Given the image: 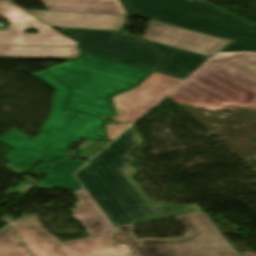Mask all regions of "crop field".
<instances>
[{
	"instance_id": "crop-field-20",
	"label": "crop field",
	"mask_w": 256,
	"mask_h": 256,
	"mask_svg": "<svg viewBox=\"0 0 256 256\" xmlns=\"http://www.w3.org/2000/svg\"><path fill=\"white\" fill-rule=\"evenodd\" d=\"M51 26L59 27L47 11H28Z\"/></svg>"
},
{
	"instance_id": "crop-field-12",
	"label": "crop field",
	"mask_w": 256,
	"mask_h": 256,
	"mask_svg": "<svg viewBox=\"0 0 256 256\" xmlns=\"http://www.w3.org/2000/svg\"><path fill=\"white\" fill-rule=\"evenodd\" d=\"M115 39L147 42L167 60L156 70V72L180 77L183 79H185L189 74H191L195 69L203 64L207 59H209V57L201 56L122 33L117 35Z\"/></svg>"
},
{
	"instance_id": "crop-field-2",
	"label": "crop field",
	"mask_w": 256,
	"mask_h": 256,
	"mask_svg": "<svg viewBox=\"0 0 256 256\" xmlns=\"http://www.w3.org/2000/svg\"><path fill=\"white\" fill-rule=\"evenodd\" d=\"M169 98L207 109L225 105L255 107L256 25L233 40Z\"/></svg>"
},
{
	"instance_id": "crop-field-6",
	"label": "crop field",
	"mask_w": 256,
	"mask_h": 256,
	"mask_svg": "<svg viewBox=\"0 0 256 256\" xmlns=\"http://www.w3.org/2000/svg\"><path fill=\"white\" fill-rule=\"evenodd\" d=\"M130 15L232 41L252 24L192 0H122Z\"/></svg>"
},
{
	"instance_id": "crop-field-18",
	"label": "crop field",
	"mask_w": 256,
	"mask_h": 256,
	"mask_svg": "<svg viewBox=\"0 0 256 256\" xmlns=\"http://www.w3.org/2000/svg\"><path fill=\"white\" fill-rule=\"evenodd\" d=\"M182 81L183 79L154 72L143 83L171 91Z\"/></svg>"
},
{
	"instance_id": "crop-field-17",
	"label": "crop field",
	"mask_w": 256,
	"mask_h": 256,
	"mask_svg": "<svg viewBox=\"0 0 256 256\" xmlns=\"http://www.w3.org/2000/svg\"><path fill=\"white\" fill-rule=\"evenodd\" d=\"M0 256H32L12 225L0 232Z\"/></svg>"
},
{
	"instance_id": "crop-field-3",
	"label": "crop field",
	"mask_w": 256,
	"mask_h": 256,
	"mask_svg": "<svg viewBox=\"0 0 256 256\" xmlns=\"http://www.w3.org/2000/svg\"><path fill=\"white\" fill-rule=\"evenodd\" d=\"M34 75L55 89L51 115L35 139L15 129L0 139L15 150L5 158L12 172L22 171L37 159L50 162L62 157L81 137L104 140L102 118L66 108L70 87L46 71Z\"/></svg>"
},
{
	"instance_id": "crop-field-21",
	"label": "crop field",
	"mask_w": 256,
	"mask_h": 256,
	"mask_svg": "<svg viewBox=\"0 0 256 256\" xmlns=\"http://www.w3.org/2000/svg\"><path fill=\"white\" fill-rule=\"evenodd\" d=\"M127 125L120 124L118 126L109 125L107 126V132H108V140H112L115 138L119 133H121L125 128H127Z\"/></svg>"
},
{
	"instance_id": "crop-field-15",
	"label": "crop field",
	"mask_w": 256,
	"mask_h": 256,
	"mask_svg": "<svg viewBox=\"0 0 256 256\" xmlns=\"http://www.w3.org/2000/svg\"><path fill=\"white\" fill-rule=\"evenodd\" d=\"M82 164L84 162L63 160L52 167L38 166L35 169L47 176L35 188L52 189L58 187L66 190H77L81 188V185L72 176V173Z\"/></svg>"
},
{
	"instance_id": "crop-field-1",
	"label": "crop field",
	"mask_w": 256,
	"mask_h": 256,
	"mask_svg": "<svg viewBox=\"0 0 256 256\" xmlns=\"http://www.w3.org/2000/svg\"><path fill=\"white\" fill-rule=\"evenodd\" d=\"M143 143L129 128L75 175L114 226L201 211L197 205L173 206L149 199L133 178L138 173L126 163L130 152Z\"/></svg>"
},
{
	"instance_id": "crop-field-5",
	"label": "crop field",
	"mask_w": 256,
	"mask_h": 256,
	"mask_svg": "<svg viewBox=\"0 0 256 256\" xmlns=\"http://www.w3.org/2000/svg\"><path fill=\"white\" fill-rule=\"evenodd\" d=\"M79 202L72 215L84 226L90 237L60 242L46 231L36 214L17 223L19 230L35 256H133L127 244H120L112 236L116 229L92 199L86 189L75 193Z\"/></svg>"
},
{
	"instance_id": "crop-field-16",
	"label": "crop field",
	"mask_w": 256,
	"mask_h": 256,
	"mask_svg": "<svg viewBox=\"0 0 256 256\" xmlns=\"http://www.w3.org/2000/svg\"><path fill=\"white\" fill-rule=\"evenodd\" d=\"M48 10L126 15L119 0H42Z\"/></svg>"
},
{
	"instance_id": "crop-field-11",
	"label": "crop field",
	"mask_w": 256,
	"mask_h": 256,
	"mask_svg": "<svg viewBox=\"0 0 256 256\" xmlns=\"http://www.w3.org/2000/svg\"><path fill=\"white\" fill-rule=\"evenodd\" d=\"M169 91L141 83L137 88L112 98L117 116L110 118L131 124Z\"/></svg>"
},
{
	"instance_id": "crop-field-9",
	"label": "crop field",
	"mask_w": 256,
	"mask_h": 256,
	"mask_svg": "<svg viewBox=\"0 0 256 256\" xmlns=\"http://www.w3.org/2000/svg\"><path fill=\"white\" fill-rule=\"evenodd\" d=\"M0 17L11 23L7 31H0V45L78 46L77 42L46 26L6 0L0 7ZM31 27L44 34L23 33L22 30Z\"/></svg>"
},
{
	"instance_id": "crop-field-13",
	"label": "crop field",
	"mask_w": 256,
	"mask_h": 256,
	"mask_svg": "<svg viewBox=\"0 0 256 256\" xmlns=\"http://www.w3.org/2000/svg\"><path fill=\"white\" fill-rule=\"evenodd\" d=\"M60 27L119 30L126 17L48 11Z\"/></svg>"
},
{
	"instance_id": "crop-field-8",
	"label": "crop field",
	"mask_w": 256,
	"mask_h": 256,
	"mask_svg": "<svg viewBox=\"0 0 256 256\" xmlns=\"http://www.w3.org/2000/svg\"><path fill=\"white\" fill-rule=\"evenodd\" d=\"M61 30L66 36L78 41L80 51L150 70L163 60L145 44L112 40V37L117 32L72 29Z\"/></svg>"
},
{
	"instance_id": "crop-field-7",
	"label": "crop field",
	"mask_w": 256,
	"mask_h": 256,
	"mask_svg": "<svg viewBox=\"0 0 256 256\" xmlns=\"http://www.w3.org/2000/svg\"><path fill=\"white\" fill-rule=\"evenodd\" d=\"M190 230L187 238L171 241H134L131 224L115 227L138 256H239L203 212L176 216Z\"/></svg>"
},
{
	"instance_id": "crop-field-19",
	"label": "crop field",
	"mask_w": 256,
	"mask_h": 256,
	"mask_svg": "<svg viewBox=\"0 0 256 256\" xmlns=\"http://www.w3.org/2000/svg\"><path fill=\"white\" fill-rule=\"evenodd\" d=\"M90 145H94L96 147L94 149H87V147L90 146ZM106 145H107L106 142L105 143H98V142L88 141V140L84 141L83 144L78 147L83 152L81 158H83V159H90L93 155H95L97 153L94 150L102 149ZM83 147H86V148L83 149Z\"/></svg>"
},
{
	"instance_id": "crop-field-4",
	"label": "crop field",
	"mask_w": 256,
	"mask_h": 256,
	"mask_svg": "<svg viewBox=\"0 0 256 256\" xmlns=\"http://www.w3.org/2000/svg\"><path fill=\"white\" fill-rule=\"evenodd\" d=\"M80 57L45 69L71 87L67 107L108 117V97L139 83L150 70L80 52Z\"/></svg>"
},
{
	"instance_id": "crop-field-22",
	"label": "crop field",
	"mask_w": 256,
	"mask_h": 256,
	"mask_svg": "<svg viewBox=\"0 0 256 256\" xmlns=\"http://www.w3.org/2000/svg\"><path fill=\"white\" fill-rule=\"evenodd\" d=\"M9 1H12V0H9Z\"/></svg>"
},
{
	"instance_id": "crop-field-14",
	"label": "crop field",
	"mask_w": 256,
	"mask_h": 256,
	"mask_svg": "<svg viewBox=\"0 0 256 256\" xmlns=\"http://www.w3.org/2000/svg\"><path fill=\"white\" fill-rule=\"evenodd\" d=\"M78 47L0 46V58L14 59H73Z\"/></svg>"
},
{
	"instance_id": "crop-field-10",
	"label": "crop field",
	"mask_w": 256,
	"mask_h": 256,
	"mask_svg": "<svg viewBox=\"0 0 256 256\" xmlns=\"http://www.w3.org/2000/svg\"><path fill=\"white\" fill-rule=\"evenodd\" d=\"M145 39L212 57L228 41L151 21Z\"/></svg>"
}]
</instances>
